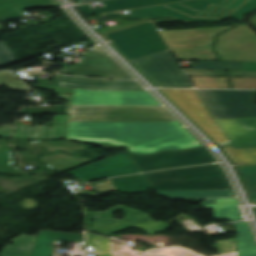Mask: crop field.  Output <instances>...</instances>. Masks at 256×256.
<instances>
[{
    "label": "crop field",
    "instance_id": "28ad6ade",
    "mask_svg": "<svg viewBox=\"0 0 256 256\" xmlns=\"http://www.w3.org/2000/svg\"><path fill=\"white\" fill-rule=\"evenodd\" d=\"M129 156L140 172L217 161L211 152L205 148L179 152L168 151L144 156L129 154Z\"/></svg>",
    "mask_w": 256,
    "mask_h": 256
},
{
    "label": "crop field",
    "instance_id": "d8731c3e",
    "mask_svg": "<svg viewBox=\"0 0 256 256\" xmlns=\"http://www.w3.org/2000/svg\"><path fill=\"white\" fill-rule=\"evenodd\" d=\"M215 119L255 118V91L198 90Z\"/></svg>",
    "mask_w": 256,
    "mask_h": 256
},
{
    "label": "crop field",
    "instance_id": "5a996713",
    "mask_svg": "<svg viewBox=\"0 0 256 256\" xmlns=\"http://www.w3.org/2000/svg\"><path fill=\"white\" fill-rule=\"evenodd\" d=\"M131 62L155 86L177 88L192 87L169 50L131 60Z\"/></svg>",
    "mask_w": 256,
    "mask_h": 256
},
{
    "label": "crop field",
    "instance_id": "eef30255",
    "mask_svg": "<svg viewBox=\"0 0 256 256\" xmlns=\"http://www.w3.org/2000/svg\"><path fill=\"white\" fill-rule=\"evenodd\" d=\"M235 163L242 165L256 164V148L234 149L233 146L222 147Z\"/></svg>",
    "mask_w": 256,
    "mask_h": 256
},
{
    "label": "crop field",
    "instance_id": "730fd06b",
    "mask_svg": "<svg viewBox=\"0 0 256 256\" xmlns=\"http://www.w3.org/2000/svg\"><path fill=\"white\" fill-rule=\"evenodd\" d=\"M35 239V236L23 235L22 237L12 241L14 243L13 245H5L0 256H30ZM20 245H28V247ZM20 251H26V253Z\"/></svg>",
    "mask_w": 256,
    "mask_h": 256
},
{
    "label": "crop field",
    "instance_id": "dd49c442",
    "mask_svg": "<svg viewBox=\"0 0 256 256\" xmlns=\"http://www.w3.org/2000/svg\"><path fill=\"white\" fill-rule=\"evenodd\" d=\"M124 211L125 217L121 220L112 218L117 210ZM93 221L89 222L88 219ZM86 230L108 236L130 226L147 231L153 235L161 232L172 224L163 221L155 222L148 214L117 205L105 212H90L85 210Z\"/></svg>",
    "mask_w": 256,
    "mask_h": 256
},
{
    "label": "crop field",
    "instance_id": "d9b57169",
    "mask_svg": "<svg viewBox=\"0 0 256 256\" xmlns=\"http://www.w3.org/2000/svg\"><path fill=\"white\" fill-rule=\"evenodd\" d=\"M51 85L90 90L144 91L134 81H106L68 76H57Z\"/></svg>",
    "mask_w": 256,
    "mask_h": 256
},
{
    "label": "crop field",
    "instance_id": "cbeb9de0",
    "mask_svg": "<svg viewBox=\"0 0 256 256\" xmlns=\"http://www.w3.org/2000/svg\"><path fill=\"white\" fill-rule=\"evenodd\" d=\"M203 147L184 127L125 149L134 154H150L167 149L184 150Z\"/></svg>",
    "mask_w": 256,
    "mask_h": 256
},
{
    "label": "crop field",
    "instance_id": "d32e631a",
    "mask_svg": "<svg viewBox=\"0 0 256 256\" xmlns=\"http://www.w3.org/2000/svg\"><path fill=\"white\" fill-rule=\"evenodd\" d=\"M92 186L95 187L97 190H99L101 193L117 191L114 184L110 180L109 182L97 183V184H93ZM101 193H98V194H101ZM98 194H92L90 195V197L97 196Z\"/></svg>",
    "mask_w": 256,
    "mask_h": 256
},
{
    "label": "crop field",
    "instance_id": "4177f3b9",
    "mask_svg": "<svg viewBox=\"0 0 256 256\" xmlns=\"http://www.w3.org/2000/svg\"><path fill=\"white\" fill-rule=\"evenodd\" d=\"M61 73L85 75V76H95V77H105V78L133 79L125 71H117V70L65 67V68H63Z\"/></svg>",
    "mask_w": 256,
    "mask_h": 256
},
{
    "label": "crop field",
    "instance_id": "00972430",
    "mask_svg": "<svg viewBox=\"0 0 256 256\" xmlns=\"http://www.w3.org/2000/svg\"><path fill=\"white\" fill-rule=\"evenodd\" d=\"M238 230L237 248L239 256H256V243L246 222L234 223Z\"/></svg>",
    "mask_w": 256,
    "mask_h": 256
},
{
    "label": "crop field",
    "instance_id": "a9b5d70f",
    "mask_svg": "<svg viewBox=\"0 0 256 256\" xmlns=\"http://www.w3.org/2000/svg\"><path fill=\"white\" fill-rule=\"evenodd\" d=\"M236 199H216V204L204 205L206 208H214L215 218H227L240 220L241 215L237 209Z\"/></svg>",
    "mask_w": 256,
    "mask_h": 256
},
{
    "label": "crop field",
    "instance_id": "0bd39190",
    "mask_svg": "<svg viewBox=\"0 0 256 256\" xmlns=\"http://www.w3.org/2000/svg\"><path fill=\"white\" fill-rule=\"evenodd\" d=\"M12 126H5L0 130V138H11Z\"/></svg>",
    "mask_w": 256,
    "mask_h": 256
},
{
    "label": "crop field",
    "instance_id": "d3111659",
    "mask_svg": "<svg viewBox=\"0 0 256 256\" xmlns=\"http://www.w3.org/2000/svg\"><path fill=\"white\" fill-rule=\"evenodd\" d=\"M12 158L7 141L0 140V172L11 174H23L24 171L11 165Z\"/></svg>",
    "mask_w": 256,
    "mask_h": 256
},
{
    "label": "crop field",
    "instance_id": "750c4746",
    "mask_svg": "<svg viewBox=\"0 0 256 256\" xmlns=\"http://www.w3.org/2000/svg\"><path fill=\"white\" fill-rule=\"evenodd\" d=\"M77 67L123 70L110 57H89V58H85L83 64L77 65Z\"/></svg>",
    "mask_w": 256,
    "mask_h": 256
},
{
    "label": "crop field",
    "instance_id": "028f5c9d",
    "mask_svg": "<svg viewBox=\"0 0 256 256\" xmlns=\"http://www.w3.org/2000/svg\"><path fill=\"white\" fill-rule=\"evenodd\" d=\"M193 69L224 70L221 62H199V64L194 65Z\"/></svg>",
    "mask_w": 256,
    "mask_h": 256
},
{
    "label": "crop field",
    "instance_id": "bd1437ed",
    "mask_svg": "<svg viewBox=\"0 0 256 256\" xmlns=\"http://www.w3.org/2000/svg\"><path fill=\"white\" fill-rule=\"evenodd\" d=\"M243 175L244 182L250 192L251 199L256 204V165L238 167Z\"/></svg>",
    "mask_w": 256,
    "mask_h": 256
},
{
    "label": "crop field",
    "instance_id": "1d83c4d3",
    "mask_svg": "<svg viewBox=\"0 0 256 256\" xmlns=\"http://www.w3.org/2000/svg\"><path fill=\"white\" fill-rule=\"evenodd\" d=\"M6 85L11 89H20L27 90V86L17 80L14 76H12L9 72L0 73V86Z\"/></svg>",
    "mask_w": 256,
    "mask_h": 256
},
{
    "label": "crop field",
    "instance_id": "8a807250",
    "mask_svg": "<svg viewBox=\"0 0 256 256\" xmlns=\"http://www.w3.org/2000/svg\"><path fill=\"white\" fill-rule=\"evenodd\" d=\"M231 27L159 31L177 60H219L212 50L215 35ZM215 50L223 61H256V35L238 26L217 39Z\"/></svg>",
    "mask_w": 256,
    "mask_h": 256
},
{
    "label": "crop field",
    "instance_id": "ae1a2a85",
    "mask_svg": "<svg viewBox=\"0 0 256 256\" xmlns=\"http://www.w3.org/2000/svg\"><path fill=\"white\" fill-rule=\"evenodd\" d=\"M86 252H101L98 256H111L109 239L86 232Z\"/></svg>",
    "mask_w": 256,
    "mask_h": 256
},
{
    "label": "crop field",
    "instance_id": "120bbe31",
    "mask_svg": "<svg viewBox=\"0 0 256 256\" xmlns=\"http://www.w3.org/2000/svg\"><path fill=\"white\" fill-rule=\"evenodd\" d=\"M16 61L15 56L8 49L4 42H0V66Z\"/></svg>",
    "mask_w": 256,
    "mask_h": 256
},
{
    "label": "crop field",
    "instance_id": "5866460e",
    "mask_svg": "<svg viewBox=\"0 0 256 256\" xmlns=\"http://www.w3.org/2000/svg\"><path fill=\"white\" fill-rule=\"evenodd\" d=\"M140 22H144V21H130V22L121 24L120 26H117V27L98 30V32L103 34V33H107V32H110V31H114V30H118V29L130 26V25H134V24H137V23H140ZM154 22H177V21H173V20H170V19H160V20H154Z\"/></svg>",
    "mask_w": 256,
    "mask_h": 256
},
{
    "label": "crop field",
    "instance_id": "e1f06a70",
    "mask_svg": "<svg viewBox=\"0 0 256 256\" xmlns=\"http://www.w3.org/2000/svg\"><path fill=\"white\" fill-rule=\"evenodd\" d=\"M227 70H241L242 63L223 62Z\"/></svg>",
    "mask_w": 256,
    "mask_h": 256
},
{
    "label": "crop field",
    "instance_id": "412701ff",
    "mask_svg": "<svg viewBox=\"0 0 256 256\" xmlns=\"http://www.w3.org/2000/svg\"><path fill=\"white\" fill-rule=\"evenodd\" d=\"M154 190L230 189L218 164L144 174Z\"/></svg>",
    "mask_w": 256,
    "mask_h": 256
},
{
    "label": "crop field",
    "instance_id": "5142ce71",
    "mask_svg": "<svg viewBox=\"0 0 256 256\" xmlns=\"http://www.w3.org/2000/svg\"><path fill=\"white\" fill-rule=\"evenodd\" d=\"M29 144L33 147H44L46 150L52 153V155L42 157L39 160L57 171L72 169L74 167L93 161V159L70 156L61 152L86 149V147L79 144L67 141H37L31 142Z\"/></svg>",
    "mask_w": 256,
    "mask_h": 256
},
{
    "label": "crop field",
    "instance_id": "dafd665d",
    "mask_svg": "<svg viewBox=\"0 0 256 256\" xmlns=\"http://www.w3.org/2000/svg\"><path fill=\"white\" fill-rule=\"evenodd\" d=\"M111 181L118 192L124 194L147 192L151 188L143 174L113 178Z\"/></svg>",
    "mask_w": 256,
    "mask_h": 256
},
{
    "label": "crop field",
    "instance_id": "b80d0937",
    "mask_svg": "<svg viewBox=\"0 0 256 256\" xmlns=\"http://www.w3.org/2000/svg\"><path fill=\"white\" fill-rule=\"evenodd\" d=\"M90 54L83 55L81 57H88V56H108L105 52H103L99 47L92 49Z\"/></svg>",
    "mask_w": 256,
    "mask_h": 256
},
{
    "label": "crop field",
    "instance_id": "03da06ac",
    "mask_svg": "<svg viewBox=\"0 0 256 256\" xmlns=\"http://www.w3.org/2000/svg\"><path fill=\"white\" fill-rule=\"evenodd\" d=\"M251 21L256 26V16L251 17Z\"/></svg>",
    "mask_w": 256,
    "mask_h": 256
},
{
    "label": "crop field",
    "instance_id": "214f88e0",
    "mask_svg": "<svg viewBox=\"0 0 256 256\" xmlns=\"http://www.w3.org/2000/svg\"><path fill=\"white\" fill-rule=\"evenodd\" d=\"M54 240L83 242V234L43 231L37 236L31 256H52Z\"/></svg>",
    "mask_w": 256,
    "mask_h": 256
},
{
    "label": "crop field",
    "instance_id": "4a817a6b",
    "mask_svg": "<svg viewBox=\"0 0 256 256\" xmlns=\"http://www.w3.org/2000/svg\"><path fill=\"white\" fill-rule=\"evenodd\" d=\"M68 115H56L53 121H64V123H53L48 129H40V126L15 125L14 139H61L64 138Z\"/></svg>",
    "mask_w": 256,
    "mask_h": 256
},
{
    "label": "crop field",
    "instance_id": "c035e120",
    "mask_svg": "<svg viewBox=\"0 0 256 256\" xmlns=\"http://www.w3.org/2000/svg\"><path fill=\"white\" fill-rule=\"evenodd\" d=\"M242 70H254V71H256V63H243Z\"/></svg>",
    "mask_w": 256,
    "mask_h": 256
},
{
    "label": "crop field",
    "instance_id": "bc2a9ffb",
    "mask_svg": "<svg viewBox=\"0 0 256 256\" xmlns=\"http://www.w3.org/2000/svg\"><path fill=\"white\" fill-rule=\"evenodd\" d=\"M182 0H107L102 1L105 7L103 8H95L91 9L88 4L77 6L78 9L87 14H100V13H108L126 9H135L153 5H159L164 3L176 2Z\"/></svg>",
    "mask_w": 256,
    "mask_h": 256
},
{
    "label": "crop field",
    "instance_id": "e52e79f7",
    "mask_svg": "<svg viewBox=\"0 0 256 256\" xmlns=\"http://www.w3.org/2000/svg\"><path fill=\"white\" fill-rule=\"evenodd\" d=\"M105 37L128 61L168 50L152 22L141 23Z\"/></svg>",
    "mask_w": 256,
    "mask_h": 256
},
{
    "label": "crop field",
    "instance_id": "34b2d1b8",
    "mask_svg": "<svg viewBox=\"0 0 256 256\" xmlns=\"http://www.w3.org/2000/svg\"><path fill=\"white\" fill-rule=\"evenodd\" d=\"M174 123H69L67 138L127 148L180 128Z\"/></svg>",
    "mask_w": 256,
    "mask_h": 256
},
{
    "label": "crop field",
    "instance_id": "c21b1889",
    "mask_svg": "<svg viewBox=\"0 0 256 256\" xmlns=\"http://www.w3.org/2000/svg\"><path fill=\"white\" fill-rule=\"evenodd\" d=\"M96 1H102V0H78L77 5L82 4V3H87V2H96Z\"/></svg>",
    "mask_w": 256,
    "mask_h": 256
},
{
    "label": "crop field",
    "instance_id": "92a150f3",
    "mask_svg": "<svg viewBox=\"0 0 256 256\" xmlns=\"http://www.w3.org/2000/svg\"><path fill=\"white\" fill-rule=\"evenodd\" d=\"M204 191V193H201ZM159 196L170 199L203 198L202 204L215 203V198H233L231 190H195V191H157Z\"/></svg>",
    "mask_w": 256,
    "mask_h": 256
},
{
    "label": "crop field",
    "instance_id": "733c2abd",
    "mask_svg": "<svg viewBox=\"0 0 256 256\" xmlns=\"http://www.w3.org/2000/svg\"><path fill=\"white\" fill-rule=\"evenodd\" d=\"M234 148L256 147V119L216 120Z\"/></svg>",
    "mask_w": 256,
    "mask_h": 256
},
{
    "label": "crop field",
    "instance_id": "ac0d7876",
    "mask_svg": "<svg viewBox=\"0 0 256 256\" xmlns=\"http://www.w3.org/2000/svg\"><path fill=\"white\" fill-rule=\"evenodd\" d=\"M256 10V0H191L117 12L102 16H121L126 19L173 17L183 21H220L225 17L243 21L244 16Z\"/></svg>",
    "mask_w": 256,
    "mask_h": 256
},
{
    "label": "crop field",
    "instance_id": "f4fd0767",
    "mask_svg": "<svg viewBox=\"0 0 256 256\" xmlns=\"http://www.w3.org/2000/svg\"><path fill=\"white\" fill-rule=\"evenodd\" d=\"M70 122H174L162 106H67Z\"/></svg>",
    "mask_w": 256,
    "mask_h": 256
},
{
    "label": "crop field",
    "instance_id": "d1516ede",
    "mask_svg": "<svg viewBox=\"0 0 256 256\" xmlns=\"http://www.w3.org/2000/svg\"><path fill=\"white\" fill-rule=\"evenodd\" d=\"M72 105H160L148 92L75 89Z\"/></svg>",
    "mask_w": 256,
    "mask_h": 256
},
{
    "label": "crop field",
    "instance_id": "b54c1fbb",
    "mask_svg": "<svg viewBox=\"0 0 256 256\" xmlns=\"http://www.w3.org/2000/svg\"><path fill=\"white\" fill-rule=\"evenodd\" d=\"M256 210V209H255Z\"/></svg>",
    "mask_w": 256,
    "mask_h": 256
},
{
    "label": "crop field",
    "instance_id": "22f410ed",
    "mask_svg": "<svg viewBox=\"0 0 256 256\" xmlns=\"http://www.w3.org/2000/svg\"><path fill=\"white\" fill-rule=\"evenodd\" d=\"M139 170L127 153H120L68 172L85 181L138 173Z\"/></svg>",
    "mask_w": 256,
    "mask_h": 256
},
{
    "label": "crop field",
    "instance_id": "3316defc",
    "mask_svg": "<svg viewBox=\"0 0 256 256\" xmlns=\"http://www.w3.org/2000/svg\"><path fill=\"white\" fill-rule=\"evenodd\" d=\"M161 92L185 112L215 142L228 141L226 135L215 120L210 117L194 90L163 89Z\"/></svg>",
    "mask_w": 256,
    "mask_h": 256
}]
</instances>
